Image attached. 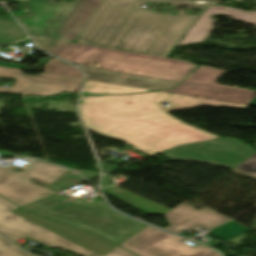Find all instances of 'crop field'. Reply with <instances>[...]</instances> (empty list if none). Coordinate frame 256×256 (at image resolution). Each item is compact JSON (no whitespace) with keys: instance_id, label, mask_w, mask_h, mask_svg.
I'll return each mask as SVG.
<instances>
[{"instance_id":"1","label":"crop field","mask_w":256,"mask_h":256,"mask_svg":"<svg viewBox=\"0 0 256 256\" xmlns=\"http://www.w3.org/2000/svg\"><path fill=\"white\" fill-rule=\"evenodd\" d=\"M80 114L86 127L102 135L127 142L153 154L180 144L219 139L170 115L168 111L200 105L246 110L248 106L164 92L134 95H101L82 98ZM132 102L133 104H127ZM171 102L165 108L162 103ZM170 103V104H171Z\"/></svg>"},{"instance_id":"2","label":"crop field","mask_w":256,"mask_h":256,"mask_svg":"<svg viewBox=\"0 0 256 256\" xmlns=\"http://www.w3.org/2000/svg\"><path fill=\"white\" fill-rule=\"evenodd\" d=\"M103 1L54 4L47 0H25L29 15L17 19L29 34L35 32L32 37L41 48L70 63L173 82H180L196 67L185 61L72 43ZM95 63L98 64L94 66Z\"/></svg>"},{"instance_id":"3","label":"crop field","mask_w":256,"mask_h":256,"mask_svg":"<svg viewBox=\"0 0 256 256\" xmlns=\"http://www.w3.org/2000/svg\"><path fill=\"white\" fill-rule=\"evenodd\" d=\"M146 2H172L173 6L204 7L220 1L105 0L78 43L167 57L197 16L158 15L140 10Z\"/></svg>"},{"instance_id":"4","label":"crop field","mask_w":256,"mask_h":256,"mask_svg":"<svg viewBox=\"0 0 256 256\" xmlns=\"http://www.w3.org/2000/svg\"><path fill=\"white\" fill-rule=\"evenodd\" d=\"M23 207L93 231L118 245L147 226L114 212L104 200L88 206L52 195Z\"/></svg>"},{"instance_id":"5","label":"crop field","mask_w":256,"mask_h":256,"mask_svg":"<svg viewBox=\"0 0 256 256\" xmlns=\"http://www.w3.org/2000/svg\"><path fill=\"white\" fill-rule=\"evenodd\" d=\"M160 154L171 160L202 162L233 169L256 154V150L236 139L225 138L181 145Z\"/></svg>"},{"instance_id":"6","label":"crop field","mask_w":256,"mask_h":256,"mask_svg":"<svg viewBox=\"0 0 256 256\" xmlns=\"http://www.w3.org/2000/svg\"><path fill=\"white\" fill-rule=\"evenodd\" d=\"M65 171L67 170L59 166L35 160L31 161L24 173H17L0 167V195L23 206L55 193L31 184L28 181L29 178L51 184Z\"/></svg>"},{"instance_id":"7","label":"crop field","mask_w":256,"mask_h":256,"mask_svg":"<svg viewBox=\"0 0 256 256\" xmlns=\"http://www.w3.org/2000/svg\"><path fill=\"white\" fill-rule=\"evenodd\" d=\"M184 239L148 226L120 246L139 256H220L203 245L193 248Z\"/></svg>"},{"instance_id":"8","label":"crop field","mask_w":256,"mask_h":256,"mask_svg":"<svg viewBox=\"0 0 256 256\" xmlns=\"http://www.w3.org/2000/svg\"><path fill=\"white\" fill-rule=\"evenodd\" d=\"M223 73L216 68L199 67L174 90L165 92L248 105L256 92L217 85L215 81Z\"/></svg>"},{"instance_id":"9","label":"crop field","mask_w":256,"mask_h":256,"mask_svg":"<svg viewBox=\"0 0 256 256\" xmlns=\"http://www.w3.org/2000/svg\"><path fill=\"white\" fill-rule=\"evenodd\" d=\"M21 70L0 67V76L17 79L12 89L0 87V91L39 95H53L62 91L74 93L82 82V79L49 74L24 75Z\"/></svg>"},{"instance_id":"10","label":"crop field","mask_w":256,"mask_h":256,"mask_svg":"<svg viewBox=\"0 0 256 256\" xmlns=\"http://www.w3.org/2000/svg\"><path fill=\"white\" fill-rule=\"evenodd\" d=\"M41 227H44L64 238H67L83 247H86L100 255H105L116 244L78 227L68 225L46 216L19 208L11 211Z\"/></svg>"},{"instance_id":"11","label":"crop field","mask_w":256,"mask_h":256,"mask_svg":"<svg viewBox=\"0 0 256 256\" xmlns=\"http://www.w3.org/2000/svg\"><path fill=\"white\" fill-rule=\"evenodd\" d=\"M165 216L170 222V226L165 230L176 234L186 231L195 225L211 229L230 220L207 207L198 211L182 203L165 214Z\"/></svg>"},{"instance_id":"12","label":"crop field","mask_w":256,"mask_h":256,"mask_svg":"<svg viewBox=\"0 0 256 256\" xmlns=\"http://www.w3.org/2000/svg\"><path fill=\"white\" fill-rule=\"evenodd\" d=\"M215 13L228 15L233 20L256 25V12H245L222 5L209 6L185 35V39H182L177 46L204 41L215 28L212 26L215 21L210 19Z\"/></svg>"},{"instance_id":"13","label":"crop field","mask_w":256,"mask_h":256,"mask_svg":"<svg viewBox=\"0 0 256 256\" xmlns=\"http://www.w3.org/2000/svg\"><path fill=\"white\" fill-rule=\"evenodd\" d=\"M16 208L19 207L0 197V233L14 242L41 228L9 212Z\"/></svg>"},{"instance_id":"14","label":"crop field","mask_w":256,"mask_h":256,"mask_svg":"<svg viewBox=\"0 0 256 256\" xmlns=\"http://www.w3.org/2000/svg\"><path fill=\"white\" fill-rule=\"evenodd\" d=\"M82 69L85 71L87 78L90 80H96L101 82L126 85V86L138 87V88L158 90V89L173 88L178 84V83L161 81V80L133 77V76H127V75H117L115 73L98 71V70H91V69H85V68H82Z\"/></svg>"},{"instance_id":"15","label":"crop field","mask_w":256,"mask_h":256,"mask_svg":"<svg viewBox=\"0 0 256 256\" xmlns=\"http://www.w3.org/2000/svg\"><path fill=\"white\" fill-rule=\"evenodd\" d=\"M102 190L103 192L117 197L120 200L142 210L147 214L164 215L170 210L166 207H163L159 204H156L117 186H114L112 188H102Z\"/></svg>"},{"instance_id":"16","label":"crop field","mask_w":256,"mask_h":256,"mask_svg":"<svg viewBox=\"0 0 256 256\" xmlns=\"http://www.w3.org/2000/svg\"><path fill=\"white\" fill-rule=\"evenodd\" d=\"M27 237L35 239L37 241H40L42 243L48 244L53 247L64 248V249L74 251L82 256H88L93 253V252H91V251H89V250H87V249L67 240V239H64V238H62L44 228L27 236Z\"/></svg>"},{"instance_id":"17","label":"crop field","mask_w":256,"mask_h":256,"mask_svg":"<svg viewBox=\"0 0 256 256\" xmlns=\"http://www.w3.org/2000/svg\"><path fill=\"white\" fill-rule=\"evenodd\" d=\"M151 90L138 89L126 86H119L107 83H101L96 81L88 80L84 88V92L90 94H99V93H134V92H145Z\"/></svg>"},{"instance_id":"18","label":"crop field","mask_w":256,"mask_h":256,"mask_svg":"<svg viewBox=\"0 0 256 256\" xmlns=\"http://www.w3.org/2000/svg\"><path fill=\"white\" fill-rule=\"evenodd\" d=\"M250 231L249 229L231 221L229 223H226L222 226H219L212 231H210L209 234L217 237L218 239L226 242L232 238H235L241 234H244L246 232Z\"/></svg>"},{"instance_id":"19","label":"crop field","mask_w":256,"mask_h":256,"mask_svg":"<svg viewBox=\"0 0 256 256\" xmlns=\"http://www.w3.org/2000/svg\"><path fill=\"white\" fill-rule=\"evenodd\" d=\"M3 34L8 35V37L2 36ZM25 37V33L14 20L0 18V43L16 41Z\"/></svg>"},{"instance_id":"20","label":"crop field","mask_w":256,"mask_h":256,"mask_svg":"<svg viewBox=\"0 0 256 256\" xmlns=\"http://www.w3.org/2000/svg\"><path fill=\"white\" fill-rule=\"evenodd\" d=\"M47 63H49V64L44 65L46 73L70 76V77H77V78L83 79L82 73L75 67L67 66L66 64H60V61H58L56 59H51Z\"/></svg>"},{"instance_id":"21","label":"crop field","mask_w":256,"mask_h":256,"mask_svg":"<svg viewBox=\"0 0 256 256\" xmlns=\"http://www.w3.org/2000/svg\"><path fill=\"white\" fill-rule=\"evenodd\" d=\"M0 256H33L27 254L0 236Z\"/></svg>"},{"instance_id":"22","label":"crop field","mask_w":256,"mask_h":256,"mask_svg":"<svg viewBox=\"0 0 256 256\" xmlns=\"http://www.w3.org/2000/svg\"><path fill=\"white\" fill-rule=\"evenodd\" d=\"M234 171L256 178V155L235 168Z\"/></svg>"},{"instance_id":"23","label":"crop field","mask_w":256,"mask_h":256,"mask_svg":"<svg viewBox=\"0 0 256 256\" xmlns=\"http://www.w3.org/2000/svg\"><path fill=\"white\" fill-rule=\"evenodd\" d=\"M105 256H136V255L117 246L113 250H111L109 253H107Z\"/></svg>"},{"instance_id":"24","label":"crop field","mask_w":256,"mask_h":256,"mask_svg":"<svg viewBox=\"0 0 256 256\" xmlns=\"http://www.w3.org/2000/svg\"><path fill=\"white\" fill-rule=\"evenodd\" d=\"M0 66L15 67V68H24L25 67V65H16V64H11V63L2 62V61H0Z\"/></svg>"},{"instance_id":"25","label":"crop field","mask_w":256,"mask_h":256,"mask_svg":"<svg viewBox=\"0 0 256 256\" xmlns=\"http://www.w3.org/2000/svg\"><path fill=\"white\" fill-rule=\"evenodd\" d=\"M102 169H103V172H108L117 168H114V166L106 165V166H103Z\"/></svg>"},{"instance_id":"26","label":"crop field","mask_w":256,"mask_h":256,"mask_svg":"<svg viewBox=\"0 0 256 256\" xmlns=\"http://www.w3.org/2000/svg\"><path fill=\"white\" fill-rule=\"evenodd\" d=\"M249 105H251V106H256V99H252V101L250 102Z\"/></svg>"},{"instance_id":"27","label":"crop field","mask_w":256,"mask_h":256,"mask_svg":"<svg viewBox=\"0 0 256 256\" xmlns=\"http://www.w3.org/2000/svg\"><path fill=\"white\" fill-rule=\"evenodd\" d=\"M0 154H2V155H15V154L6 153V152H2V151H0Z\"/></svg>"},{"instance_id":"28","label":"crop field","mask_w":256,"mask_h":256,"mask_svg":"<svg viewBox=\"0 0 256 256\" xmlns=\"http://www.w3.org/2000/svg\"><path fill=\"white\" fill-rule=\"evenodd\" d=\"M109 183H102V186H108Z\"/></svg>"},{"instance_id":"29","label":"crop field","mask_w":256,"mask_h":256,"mask_svg":"<svg viewBox=\"0 0 256 256\" xmlns=\"http://www.w3.org/2000/svg\"><path fill=\"white\" fill-rule=\"evenodd\" d=\"M90 256H99V255H97V254L94 253V254H92V255H90Z\"/></svg>"},{"instance_id":"30","label":"crop field","mask_w":256,"mask_h":256,"mask_svg":"<svg viewBox=\"0 0 256 256\" xmlns=\"http://www.w3.org/2000/svg\"><path fill=\"white\" fill-rule=\"evenodd\" d=\"M2 10V8L0 7V11Z\"/></svg>"}]
</instances>
